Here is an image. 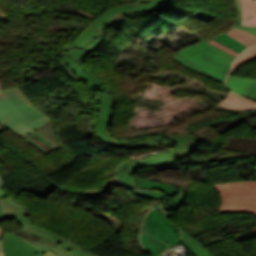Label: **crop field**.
<instances>
[{"label": "crop field", "instance_id": "obj_13", "mask_svg": "<svg viewBox=\"0 0 256 256\" xmlns=\"http://www.w3.org/2000/svg\"><path fill=\"white\" fill-rule=\"evenodd\" d=\"M218 105L237 109L256 108V103L243 99L233 92H230L228 96Z\"/></svg>", "mask_w": 256, "mask_h": 256}, {"label": "crop field", "instance_id": "obj_30", "mask_svg": "<svg viewBox=\"0 0 256 256\" xmlns=\"http://www.w3.org/2000/svg\"><path fill=\"white\" fill-rule=\"evenodd\" d=\"M103 92H97V94H98V98H99V96L102 94ZM96 105H97V103H96ZM96 105H95V108H96ZM94 114H95V119H94V121H96V118H97V112H96V109H95V111H94ZM93 121V122H94Z\"/></svg>", "mask_w": 256, "mask_h": 256}, {"label": "crop field", "instance_id": "obj_19", "mask_svg": "<svg viewBox=\"0 0 256 256\" xmlns=\"http://www.w3.org/2000/svg\"><path fill=\"white\" fill-rule=\"evenodd\" d=\"M256 58V46L246 49L234 62L232 65V74L242 63L248 62Z\"/></svg>", "mask_w": 256, "mask_h": 256}, {"label": "crop field", "instance_id": "obj_22", "mask_svg": "<svg viewBox=\"0 0 256 256\" xmlns=\"http://www.w3.org/2000/svg\"><path fill=\"white\" fill-rule=\"evenodd\" d=\"M235 2H236V5H237L238 20H237L236 24L233 26V28L240 29V30H245V31L251 32V33L256 35V27H247V26L241 25L242 14H241L240 0H235Z\"/></svg>", "mask_w": 256, "mask_h": 256}, {"label": "crop field", "instance_id": "obj_17", "mask_svg": "<svg viewBox=\"0 0 256 256\" xmlns=\"http://www.w3.org/2000/svg\"><path fill=\"white\" fill-rule=\"evenodd\" d=\"M226 34L230 35L248 47L256 45V36L251 33L232 29L226 32Z\"/></svg>", "mask_w": 256, "mask_h": 256}, {"label": "crop field", "instance_id": "obj_18", "mask_svg": "<svg viewBox=\"0 0 256 256\" xmlns=\"http://www.w3.org/2000/svg\"><path fill=\"white\" fill-rule=\"evenodd\" d=\"M170 142L165 141L162 137H154L148 140H142L139 142H135L127 147L129 148H149L156 146L169 145Z\"/></svg>", "mask_w": 256, "mask_h": 256}, {"label": "crop field", "instance_id": "obj_33", "mask_svg": "<svg viewBox=\"0 0 256 256\" xmlns=\"http://www.w3.org/2000/svg\"><path fill=\"white\" fill-rule=\"evenodd\" d=\"M4 185L0 182V187L2 188Z\"/></svg>", "mask_w": 256, "mask_h": 256}, {"label": "crop field", "instance_id": "obj_23", "mask_svg": "<svg viewBox=\"0 0 256 256\" xmlns=\"http://www.w3.org/2000/svg\"><path fill=\"white\" fill-rule=\"evenodd\" d=\"M170 0H154L150 3H145V4H142V5H139L133 9H131L127 14H126V17L129 16V14L131 12H142L144 10H149L151 8H154V5L158 4V3H164V2H169Z\"/></svg>", "mask_w": 256, "mask_h": 256}, {"label": "crop field", "instance_id": "obj_6", "mask_svg": "<svg viewBox=\"0 0 256 256\" xmlns=\"http://www.w3.org/2000/svg\"><path fill=\"white\" fill-rule=\"evenodd\" d=\"M166 138L172 139L177 148L166 153H159L158 155L143 159L137 162L127 163L126 171L131 175L134 174L133 170L139 167H148V166H161L169 163H174L176 161H181L193 152L196 144L195 135H186V134H172L166 135Z\"/></svg>", "mask_w": 256, "mask_h": 256}, {"label": "crop field", "instance_id": "obj_16", "mask_svg": "<svg viewBox=\"0 0 256 256\" xmlns=\"http://www.w3.org/2000/svg\"><path fill=\"white\" fill-rule=\"evenodd\" d=\"M138 187L139 188H151V189H158L160 191H163L167 194V197H171L174 194L178 192L172 185H163V184H158L150 181H145V180H138Z\"/></svg>", "mask_w": 256, "mask_h": 256}, {"label": "crop field", "instance_id": "obj_11", "mask_svg": "<svg viewBox=\"0 0 256 256\" xmlns=\"http://www.w3.org/2000/svg\"><path fill=\"white\" fill-rule=\"evenodd\" d=\"M62 56H63L64 61L71 68V70L74 72V74L80 79V81H82L84 84L88 85L91 89L104 91V88L101 87L100 84L93 81L92 78H90L89 75H87L86 73H82V71H81L82 67L80 65H78L72 59H69V57L64 56V53H62Z\"/></svg>", "mask_w": 256, "mask_h": 256}, {"label": "crop field", "instance_id": "obj_9", "mask_svg": "<svg viewBox=\"0 0 256 256\" xmlns=\"http://www.w3.org/2000/svg\"><path fill=\"white\" fill-rule=\"evenodd\" d=\"M97 108L100 112V118L99 122L96 123L95 132L102 141L110 144L114 139L108 131L109 123L114 111V100L110 95L105 93Z\"/></svg>", "mask_w": 256, "mask_h": 256}, {"label": "crop field", "instance_id": "obj_1", "mask_svg": "<svg viewBox=\"0 0 256 256\" xmlns=\"http://www.w3.org/2000/svg\"><path fill=\"white\" fill-rule=\"evenodd\" d=\"M5 219L17 218L23 227V232L28 236H18L15 232L5 234L2 241V250L4 256H41L47 250H51L57 256H75L57 243L62 239L85 252L77 244L70 240L58 237L42 227H38L29 222L25 216L29 215L28 210L13 198L3 199ZM89 255L96 256L92 253L85 252Z\"/></svg>", "mask_w": 256, "mask_h": 256}, {"label": "crop field", "instance_id": "obj_4", "mask_svg": "<svg viewBox=\"0 0 256 256\" xmlns=\"http://www.w3.org/2000/svg\"><path fill=\"white\" fill-rule=\"evenodd\" d=\"M141 241L152 256H162L181 242L175 226L155 208L148 213L143 223Z\"/></svg>", "mask_w": 256, "mask_h": 256}, {"label": "crop field", "instance_id": "obj_2", "mask_svg": "<svg viewBox=\"0 0 256 256\" xmlns=\"http://www.w3.org/2000/svg\"><path fill=\"white\" fill-rule=\"evenodd\" d=\"M49 120L24 97L18 87L0 91V123L15 133L23 137Z\"/></svg>", "mask_w": 256, "mask_h": 256}, {"label": "crop field", "instance_id": "obj_21", "mask_svg": "<svg viewBox=\"0 0 256 256\" xmlns=\"http://www.w3.org/2000/svg\"><path fill=\"white\" fill-rule=\"evenodd\" d=\"M125 164H122L117 170V179L121 181L126 187L135 188L136 180L125 172ZM136 189V188H135Z\"/></svg>", "mask_w": 256, "mask_h": 256}, {"label": "crop field", "instance_id": "obj_34", "mask_svg": "<svg viewBox=\"0 0 256 256\" xmlns=\"http://www.w3.org/2000/svg\"><path fill=\"white\" fill-rule=\"evenodd\" d=\"M0 234H1V228H0Z\"/></svg>", "mask_w": 256, "mask_h": 256}, {"label": "crop field", "instance_id": "obj_27", "mask_svg": "<svg viewBox=\"0 0 256 256\" xmlns=\"http://www.w3.org/2000/svg\"><path fill=\"white\" fill-rule=\"evenodd\" d=\"M143 138H147V137H143ZM137 139H141V138H137ZM137 139H130V140H124V141L114 140L110 145L125 146V145L129 144L130 142H134V140H137Z\"/></svg>", "mask_w": 256, "mask_h": 256}, {"label": "crop field", "instance_id": "obj_12", "mask_svg": "<svg viewBox=\"0 0 256 256\" xmlns=\"http://www.w3.org/2000/svg\"><path fill=\"white\" fill-rule=\"evenodd\" d=\"M103 34L102 36H100L94 43H92L91 45H89L88 47L85 48L84 51H79L77 49H71L70 51L67 52V55L70 56L73 59H76V61H78L81 64V61L89 54L92 53L95 49H97L99 47V45L102 43L103 38H104ZM83 66V65H82ZM84 67V66H83ZM83 71L88 72L95 80L98 81V83H101L95 76H93L85 67L83 68ZM102 84V83H101Z\"/></svg>", "mask_w": 256, "mask_h": 256}, {"label": "crop field", "instance_id": "obj_10", "mask_svg": "<svg viewBox=\"0 0 256 256\" xmlns=\"http://www.w3.org/2000/svg\"><path fill=\"white\" fill-rule=\"evenodd\" d=\"M226 87L243 97L256 101V79L229 75Z\"/></svg>", "mask_w": 256, "mask_h": 256}, {"label": "crop field", "instance_id": "obj_14", "mask_svg": "<svg viewBox=\"0 0 256 256\" xmlns=\"http://www.w3.org/2000/svg\"><path fill=\"white\" fill-rule=\"evenodd\" d=\"M177 232L184 245L193 253L194 256H210L205 252L199 241L191 238L184 230L177 228Z\"/></svg>", "mask_w": 256, "mask_h": 256}, {"label": "crop field", "instance_id": "obj_20", "mask_svg": "<svg viewBox=\"0 0 256 256\" xmlns=\"http://www.w3.org/2000/svg\"><path fill=\"white\" fill-rule=\"evenodd\" d=\"M214 40L238 51L242 52L244 49L248 48L245 45L241 44L240 42L236 41L235 39L231 38L230 36L226 34H222L221 36L215 38Z\"/></svg>", "mask_w": 256, "mask_h": 256}, {"label": "crop field", "instance_id": "obj_8", "mask_svg": "<svg viewBox=\"0 0 256 256\" xmlns=\"http://www.w3.org/2000/svg\"><path fill=\"white\" fill-rule=\"evenodd\" d=\"M24 138L45 154L62 147L55 135V125L52 120Z\"/></svg>", "mask_w": 256, "mask_h": 256}, {"label": "crop field", "instance_id": "obj_26", "mask_svg": "<svg viewBox=\"0 0 256 256\" xmlns=\"http://www.w3.org/2000/svg\"><path fill=\"white\" fill-rule=\"evenodd\" d=\"M208 42L213 44V45H215L216 47L220 48L221 50H223V51H225V52L235 56V57H237L239 55V53H237V52H235V51L225 47L224 45H222V44H220V43H218V42H216L214 40H211V41H208Z\"/></svg>", "mask_w": 256, "mask_h": 256}, {"label": "crop field", "instance_id": "obj_29", "mask_svg": "<svg viewBox=\"0 0 256 256\" xmlns=\"http://www.w3.org/2000/svg\"><path fill=\"white\" fill-rule=\"evenodd\" d=\"M7 195L3 189H0V221L3 220L2 207H1V198Z\"/></svg>", "mask_w": 256, "mask_h": 256}, {"label": "crop field", "instance_id": "obj_3", "mask_svg": "<svg viewBox=\"0 0 256 256\" xmlns=\"http://www.w3.org/2000/svg\"><path fill=\"white\" fill-rule=\"evenodd\" d=\"M172 57L223 84L230 71V64L235 59L204 40L173 54Z\"/></svg>", "mask_w": 256, "mask_h": 256}, {"label": "crop field", "instance_id": "obj_31", "mask_svg": "<svg viewBox=\"0 0 256 256\" xmlns=\"http://www.w3.org/2000/svg\"><path fill=\"white\" fill-rule=\"evenodd\" d=\"M43 256H56L55 254H53L50 250L48 252H46Z\"/></svg>", "mask_w": 256, "mask_h": 256}, {"label": "crop field", "instance_id": "obj_15", "mask_svg": "<svg viewBox=\"0 0 256 256\" xmlns=\"http://www.w3.org/2000/svg\"><path fill=\"white\" fill-rule=\"evenodd\" d=\"M243 25L256 26V0H241Z\"/></svg>", "mask_w": 256, "mask_h": 256}, {"label": "crop field", "instance_id": "obj_32", "mask_svg": "<svg viewBox=\"0 0 256 256\" xmlns=\"http://www.w3.org/2000/svg\"><path fill=\"white\" fill-rule=\"evenodd\" d=\"M100 29H101V28H97V29L94 30V32H98V31H100Z\"/></svg>", "mask_w": 256, "mask_h": 256}, {"label": "crop field", "instance_id": "obj_28", "mask_svg": "<svg viewBox=\"0 0 256 256\" xmlns=\"http://www.w3.org/2000/svg\"><path fill=\"white\" fill-rule=\"evenodd\" d=\"M169 5H171V4L158 5V6H159L158 9H154V10H152V11H147V12H145V13L161 11V10H164L165 8H167ZM141 14H144V13L133 14V16H132L131 18H133V17H135V16H137V15H141ZM131 18H130V19H131ZM125 20H127V19H125ZM123 21H124V20H123Z\"/></svg>", "mask_w": 256, "mask_h": 256}, {"label": "crop field", "instance_id": "obj_25", "mask_svg": "<svg viewBox=\"0 0 256 256\" xmlns=\"http://www.w3.org/2000/svg\"><path fill=\"white\" fill-rule=\"evenodd\" d=\"M60 245H62L63 247H65L67 250H69L70 252L74 253L77 256H89L81 251H79L78 249L74 248L73 246H71L70 244L66 243L65 241H61L59 242Z\"/></svg>", "mask_w": 256, "mask_h": 256}, {"label": "crop field", "instance_id": "obj_24", "mask_svg": "<svg viewBox=\"0 0 256 256\" xmlns=\"http://www.w3.org/2000/svg\"><path fill=\"white\" fill-rule=\"evenodd\" d=\"M138 197L140 198H146V199H158L163 198L164 195L159 192H145V191H138V190H132Z\"/></svg>", "mask_w": 256, "mask_h": 256}, {"label": "crop field", "instance_id": "obj_5", "mask_svg": "<svg viewBox=\"0 0 256 256\" xmlns=\"http://www.w3.org/2000/svg\"><path fill=\"white\" fill-rule=\"evenodd\" d=\"M222 197L220 212L256 213V181L215 185Z\"/></svg>", "mask_w": 256, "mask_h": 256}, {"label": "crop field", "instance_id": "obj_7", "mask_svg": "<svg viewBox=\"0 0 256 256\" xmlns=\"http://www.w3.org/2000/svg\"><path fill=\"white\" fill-rule=\"evenodd\" d=\"M139 5V3H121L115 6H112L103 12H101L82 32L81 34L70 44L68 47H77L79 49L85 47L95 38H97L105 30V23L116 22L125 17V14L134 6ZM124 11V14L117 19H111V16L115 13ZM97 27H102L99 33H94L93 29ZM90 33L96 35L93 39L89 40L88 36ZM66 48V47H65ZM67 51V50H66ZM65 51V52H66ZM64 52V51H63Z\"/></svg>", "mask_w": 256, "mask_h": 256}]
</instances>
